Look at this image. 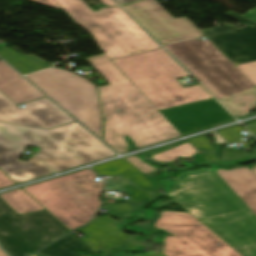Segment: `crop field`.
<instances>
[{"mask_svg":"<svg viewBox=\"0 0 256 256\" xmlns=\"http://www.w3.org/2000/svg\"><path fill=\"white\" fill-rule=\"evenodd\" d=\"M245 126L248 127L250 132L256 136V121L245 124Z\"/></svg>","mask_w":256,"mask_h":256,"instance_id":"d32e631a","label":"crop field"},{"mask_svg":"<svg viewBox=\"0 0 256 256\" xmlns=\"http://www.w3.org/2000/svg\"><path fill=\"white\" fill-rule=\"evenodd\" d=\"M0 197L18 214L45 209L22 188L0 194Z\"/></svg>","mask_w":256,"mask_h":256,"instance_id":"92a150f3","label":"crop field"},{"mask_svg":"<svg viewBox=\"0 0 256 256\" xmlns=\"http://www.w3.org/2000/svg\"><path fill=\"white\" fill-rule=\"evenodd\" d=\"M68 232L47 210L18 215L0 198V244L11 256H27Z\"/></svg>","mask_w":256,"mask_h":256,"instance_id":"5a996713","label":"crop field"},{"mask_svg":"<svg viewBox=\"0 0 256 256\" xmlns=\"http://www.w3.org/2000/svg\"><path fill=\"white\" fill-rule=\"evenodd\" d=\"M5 46L7 45H0V48ZM0 57H2L23 74L50 67L47 65L46 61L34 55H23L9 48L1 49Z\"/></svg>","mask_w":256,"mask_h":256,"instance_id":"214f88e0","label":"crop field"},{"mask_svg":"<svg viewBox=\"0 0 256 256\" xmlns=\"http://www.w3.org/2000/svg\"><path fill=\"white\" fill-rule=\"evenodd\" d=\"M182 134L196 132L195 124L201 129L232 119L213 99L164 109L160 111Z\"/></svg>","mask_w":256,"mask_h":256,"instance_id":"cbeb9de0","label":"crop field"},{"mask_svg":"<svg viewBox=\"0 0 256 256\" xmlns=\"http://www.w3.org/2000/svg\"><path fill=\"white\" fill-rule=\"evenodd\" d=\"M11 185H15L14 181L11 180L0 170V188H4Z\"/></svg>","mask_w":256,"mask_h":256,"instance_id":"bd1437ed","label":"crop field"},{"mask_svg":"<svg viewBox=\"0 0 256 256\" xmlns=\"http://www.w3.org/2000/svg\"><path fill=\"white\" fill-rule=\"evenodd\" d=\"M252 171L256 174V165L253 167Z\"/></svg>","mask_w":256,"mask_h":256,"instance_id":"b80d0937","label":"crop field"},{"mask_svg":"<svg viewBox=\"0 0 256 256\" xmlns=\"http://www.w3.org/2000/svg\"><path fill=\"white\" fill-rule=\"evenodd\" d=\"M128 159L132 164H134L138 169H140L144 174L152 173L158 170V168L146 163L139 156H132Z\"/></svg>","mask_w":256,"mask_h":256,"instance_id":"d3111659","label":"crop field"},{"mask_svg":"<svg viewBox=\"0 0 256 256\" xmlns=\"http://www.w3.org/2000/svg\"><path fill=\"white\" fill-rule=\"evenodd\" d=\"M221 103L237 117L249 114L248 110L256 105V87L223 100Z\"/></svg>","mask_w":256,"mask_h":256,"instance_id":"dafd665d","label":"crop field"},{"mask_svg":"<svg viewBox=\"0 0 256 256\" xmlns=\"http://www.w3.org/2000/svg\"><path fill=\"white\" fill-rule=\"evenodd\" d=\"M155 227L178 235L165 238L166 256H241L188 213L162 212Z\"/></svg>","mask_w":256,"mask_h":256,"instance_id":"3316defc","label":"crop field"},{"mask_svg":"<svg viewBox=\"0 0 256 256\" xmlns=\"http://www.w3.org/2000/svg\"><path fill=\"white\" fill-rule=\"evenodd\" d=\"M254 22H256V8L250 10L249 12L245 13L244 15H242Z\"/></svg>","mask_w":256,"mask_h":256,"instance_id":"120bbe31","label":"crop field"},{"mask_svg":"<svg viewBox=\"0 0 256 256\" xmlns=\"http://www.w3.org/2000/svg\"><path fill=\"white\" fill-rule=\"evenodd\" d=\"M135 256H164V255L162 253L155 252V253L148 254V255H135Z\"/></svg>","mask_w":256,"mask_h":256,"instance_id":"e1f06a70","label":"crop field"},{"mask_svg":"<svg viewBox=\"0 0 256 256\" xmlns=\"http://www.w3.org/2000/svg\"><path fill=\"white\" fill-rule=\"evenodd\" d=\"M256 158V150H252L249 154L246 151H237L233 148L223 150L222 162L228 163H241L249 159Z\"/></svg>","mask_w":256,"mask_h":256,"instance_id":"730fd06b","label":"crop field"},{"mask_svg":"<svg viewBox=\"0 0 256 256\" xmlns=\"http://www.w3.org/2000/svg\"><path fill=\"white\" fill-rule=\"evenodd\" d=\"M25 77L101 138L102 116L93 83L72 72L56 68Z\"/></svg>","mask_w":256,"mask_h":256,"instance_id":"d8731c3e","label":"crop field"},{"mask_svg":"<svg viewBox=\"0 0 256 256\" xmlns=\"http://www.w3.org/2000/svg\"><path fill=\"white\" fill-rule=\"evenodd\" d=\"M119 227L120 225L109 216L97 218L89 224L88 228L81 229L87 236L81 240L95 251L96 249L104 250L105 254H109L111 248L123 243L118 239L125 240L127 250H132L138 241L133 236L122 233Z\"/></svg>","mask_w":256,"mask_h":256,"instance_id":"5142ce71","label":"crop field"},{"mask_svg":"<svg viewBox=\"0 0 256 256\" xmlns=\"http://www.w3.org/2000/svg\"><path fill=\"white\" fill-rule=\"evenodd\" d=\"M189 142L193 147L199 152L203 151L201 154L207 162H217L218 159L214 153V148L211 145V141L204 136H199L196 138L189 139Z\"/></svg>","mask_w":256,"mask_h":256,"instance_id":"a9b5d70f","label":"crop field"},{"mask_svg":"<svg viewBox=\"0 0 256 256\" xmlns=\"http://www.w3.org/2000/svg\"><path fill=\"white\" fill-rule=\"evenodd\" d=\"M94 253L89 246L74 234H69L36 254L42 256H81L78 252Z\"/></svg>","mask_w":256,"mask_h":256,"instance_id":"bc2a9ffb","label":"crop field"},{"mask_svg":"<svg viewBox=\"0 0 256 256\" xmlns=\"http://www.w3.org/2000/svg\"><path fill=\"white\" fill-rule=\"evenodd\" d=\"M243 129L241 127H235V128H231V129H227V130H223V131H219L218 133L228 142V143H232V142H243L240 138L245 137L243 136L240 131H242Z\"/></svg>","mask_w":256,"mask_h":256,"instance_id":"eef30255","label":"crop field"},{"mask_svg":"<svg viewBox=\"0 0 256 256\" xmlns=\"http://www.w3.org/2000/svg\"><path fill=\"white\" fill-rule=\"evenodd\" d=\"M196 153L197 151L192 147L190 143H188L183 146L164 152L162 154H159L153 157L152 159L160 162H167L176 159L179 155L183 157H191Z\"/></svg>","mask_w":256,"mask_h":256,"instance_id":"00972430","label":"crop field"},{"mask_svg":"<svg viewBox=\"0 0 256 256\" xmlns=\"http://www.w3.org/2000/svg\"><path fill=\"white\" fill-rule=\"evenodd\" d=\"M226 15L246 24L236 28L232 24L202 30L223 54L234 64L256 61V24L230 11Z\"/></svg>","mask_w":256,"mask_h":256,"instance_id":"d1516ede","label":"crop field"},{"mask_svg":"<svg viewBox=\"0 0 256 256\" xmlns=\"http://www.w3.org/2000/svg\"><path fill=\"white\" fill-rule=\"evenodd\" d=\"M90 169L23 187L71 231L91 220L101 202L103 182Z\"/></svg>","mask_w":256,"mask_h":256,"instance_id":"dd49c442","label":"crop field"},{"mask_svg":"<svg viewBox=\"0 0 256 256\" xmlns=\"http://www.w3.org/2000/svg\"><path fill=\"white\" fill-rule=\"evenodd\" d=\"M132 167L133 166L130 165L127 161H125L124 159H121V160L110 162L104 165L93 167V169L100 175L115 176Z\"/></svg>","mask_w":256,"mask_h":256,"instance_id":"4177f3b9","label":"crop field"},{"mask_svg":"<svg viewBox=\"0 0 256 256\" xmlns=\"http://www.w3.org/2000/svg\"><path fill=\"white\" fill-rule=\"evenodd\" d=\"M161 44L204 36L187 18L175 19L156 0L124 6Z\"/></svg>","mask_w":256,"mask_h":256,"instance_id":"28ad6ade","label":"crop field"},{"mask_svg":"<svg viewBox=\"0 0 256 256\" xmlns=\"http://www.w3.org/2000/svg\"><path fill=\"white\" fill-rule=\"evenodd\" d=\"M169 193L185 210L244 256H256V215L215 171H196L173 181Z\"/></svg>","mask_w":256,"mask_h":256,"instance_id":"34b2d1b8","label":"crop field"},{"mask_svg":"<svg viewBox=\"0 0 256 256\" xmlns=\"http://www.w3.org/2000/svg\"><path fill=\"white\" fill-rule=\"evenodd\" d=\"M254 1H256V0H254Z\"/></svg>","mask_w":256,"mask_h":256,"instance_id":"c035e120","label":"crop field"},{"mask_svg":"<svg viewBox=\"0 0 256 256\" xmlns=\"http://www.w3.org/2000/svg\"><path fill=\"white\" fill-rule=\"evenodd\" d=\"M112 62L158 110L212 98L200 85L184 89L176 79L189 74L163 49Z\"/></svg>","mask_w":256,"mask_h":256,"instance_id":"412701ff","label":"crop field"},{"mask_svg":"<svg viewBox=\"0 0 256 256\" xmlns=\"http://www.w3.org/2000/svg\"><path fill=\"white\" fill-rule=\"evenodd\" d=\"M121 5L132 3V2H137L141 0H117Z\"/></svg>","mask_w":256,"mask_h":256,"instance_id":"028f5c9d","label":"crop field"},{"mask_svg":"<svg viewBox=\"0 0 256 256\" xmlns=\"http://www.w3.org/2000/svg\"><path fill=\"white\" fill-rule=\"evenodd\" d=\"M210 134L214 136V139L216 140L217 144H226L217 133L213 132Z\"/></svg>","mask_w":256,"mask_h":256,"instance_id":"5866460e","label":"crop field"},{"mask_svg":"<svg viewBox=\"0 0 256 256\" xmlns=\"http://www.w3.org/2000/svg\"><path fill=\"white\" fill-rule=\"evenodd\" d=\"M19 109L0 92V122L51 128L75 121L48 98L28 102Z\"/></svg>","mask_w":256,"mask_h":256,"instance_id":"22f410ed","label":"crop field"},{"mask_svg":"<svg viewBox=\"0 0 256 256\" xmlns=\"http://www.w3.org/2000/svg\"><path fill=\"white\" fill-rule=\"evenodd\" d=\"M27 145L56 172L117 155L77 122L49 130L0 123V169L16 184L53 174L34 155L18 160Z\"/></svg>","mask_w":256,"mask_h":256,"instance_id":"8a807250","label":"crop field"},{"mask_svg":"<svg viewBox=\"0 0 256 256\" xmlns=\"http://www.w3.org/2000/svg\"><path fill=\"white\" fill-rule=\"evenodd\" d=\"M54 9L62 10V8L54 0H30Z\"/></svg>","mask_w":256,"mask_h":256,"instance_id":"1d83c4d3","label":"crop field"},{"mask_svg":"<svg viewBox=\"0 0 256 256\" xmlns=\"http://www.w3.org/2000/svg\"><path fill=\"white\" fill-rule=\"evenodd\" d=\"M216 172L256 214V175L248 168Z\"/></svg>","mask_w":256,"mask_h":256,"instance_id":"4a817a6b","label":"crop field"},{"mask_svg":"<svg viewBox=\"0 0 256 256\" xmlns=\"http://www.w3.org/2000/svg\"><path fill=\"white\" fill-rule=\"evenodd\" d=\"M4 252V251H3ZM1 250H0V256H7L5 253H3Z\"/></svg>","mask_w":256,"mask_h":256,"instance_id":"0bd39190","label":"crop field"},{"mask_svg":"<svg viewBox=\"0 0 256 256\" xmlns=\"http://www.w3.org/2000/svg\"><path fill=\"white\" fill-rule=\"evenodd\" d=\"M185 143H188V141L186 140V141L179 142V143H176V144H172V145H168V146L161 147V148H158V149H154V150H151V151H147V152H145V155L152 157L156 154L162 153L164 151H167L169 149H172V148H175L177 146L183 145Z\"/></svg>","mask_w":256,"mask_h":256,"instance_id":"750c4746","label":"crop field"},{"mask_svg":"<svg viewBox=\"0 0 256 256\" xmlns=\"http://www.w3.org/2000/svg\"><path fill=\"white\" fill-rule=\"evenodd\" d=\"M256 86V62L236 66Z\"/></svg>","mask_w":256,"mask_h":256,"instance_id":"ae1a2a85","label":"crop field"},{"mask_svg":"<svg viewBox=\"0 0 256 256\" xmlns=\"http://www.w3.org/2000/svg\"><path fill=\"white\" fill-rule=\"evenodd\" d=\"M0 91L16 105L45 97L2 60H0Z\"/></svg>","mask_w":256,"mask_h":256,"instance_id":"d9b57169","label":"crop field"},{"mask_svg":"<svg viewBox=\"0 0 256 256\" xmlns=\"http://www.w3.org/2000/svg\"><path fill=\"white\" fill-rule=\"evenodd\" d=\"M117 182L108 183V189H119L128 194L129 199L146 203L155 199L156 189L149 179L135 168L120 175Z\"/></svg>","mask_w":256,"mask_h":256,"instance_id":"733c2abd","label":"crop field"},{"mask_svg":"<svg viewBox=\"0 0 256 256\" xmlns=\"http://www.w3.org/2000/svg\"><path fill=\"white\" fill-rule=\"evenodd\" d=\"M87 60L110 84L99 89L105 117L104 140L114 150L119 154L128 151L123 138L126 135L137 148L181 136L105 54Z\"/></svg>","mask_w":256,"mask_h":256,"instance_id":"ac0d7876","label":"crop field"},{"mask_svg":"<svg viewBox=\"0 0 256 256\" xmlns=\"http://www.w3.org/2000/svg\"><path fill=\"white\" fill-rule=\"evenodd\" d=\"M79 25L87 28L111 59L160 49L120 7L92 12L82 0H55ZM108 6L113 0H101Z\"/></svg>","mask_w":256,"mask_h":256,"instance_id":"f4fd0767","label":"crop field"},{"mask_svg":"<svg viewBox=\"0 0 256 256\" xmlns=\"http://www.w3.org/2000/svg\"><path fill=\"white\" fill-rule=\"evenodd\" d=\"M164 47L218 100L254 87L210 40H192Z\"/></svg>","mask_w":256,"mask_h":256,"instance_id":"e52e79f7","label":"crop field"}]
</instances>
